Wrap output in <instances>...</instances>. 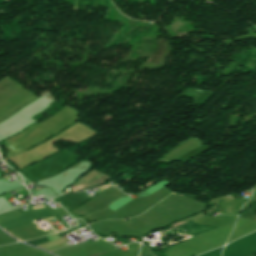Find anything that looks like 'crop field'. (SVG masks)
Listing matches in <instances>:
<instances>
[{
  "instance_id": "8a807250",
  "label": "crop field",
  "mask_w": 256,
  "mask_h": 256,
  "mask_svg": "<svg viewBox=\"0 0 256 256\" xmlns=\"http://www.w3.org/2000/svg\"><path fill=\"white\" fill-rule=\"evenodd\" d=\"M27 181H28V180H27ZM27 181H25V182H27ZM25 182H24V183H25Z\"/></svg>"
},
{
  "instance_id": "ac0d7876",
  "label": "crop field",
  "mask_w": 256,
  "mask_h": 256,
  "mask_svg": "<svg viewBox=\"0 0 256 256\" xmlns=\"http://www.w3.org/2000/svg\"><path fill=\"white\" fill-rule=\"evenodd\" d=\"M41 208H43V207H41ZM35 209H37V208H35Z\"/></svg>"
}]
</instances>
